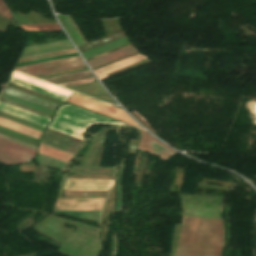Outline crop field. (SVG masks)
<instances>
[{
  "label": "crop field",
  "mask_w": 256,
  "mask_h": 256,
  "mask_svg": "<svg viewBox=\"0 0 256 256\" xmlns=\"http://www.w3.org/2000/svg\"><path fill=\"white\" fill-rule=\"evenodd\" d=\"M221 220L184 217L175 256H220Z\"/></svg>",
  "instance_id": "obj_1"
},
{
  "label": "crop field",
  "mask_w": 256,
  "mask_h": 256,
  "mask_svg": "<svg viewBox=\"0 0 256 256\" xmlns=\"http://www.w3.org/2000/svg\"><path fill=\"white\" fill-rule=\"evenodd\" d=\"M95 123L124 124L75 106L65 105L60 107L50 128L83 140L81 133Z\"/></svg>",
  "instance_id": "obj_2"
},
{
  "label": "crop field",
  "mask_w": 256,
  "mask_h": 256,
  "mask_svg": "<svg viewBox=\"0 0 256 256\" xmlns=\"http://www.w3.org/2000/svg\"><path fill=\"white\" fill-rule=\"evenodd\" d=\"M68 102L80 105L82 107L88 108L90 110L96 111L98 113L131 123L135 126H138L133 120H131L123 111L118 110L110 105L105 103L93 100L91 98L82 96L80 94L75 93ZM139 127V126H138Z\"/></svg>",
  "instance_id": "obj_3"
},
{
  "label": "crop field",
  "mask_w": 256,
  "mask_h": 256,
  "mask_svg": "<svg viewBox=\"0 0 256 256\" xmlns=\"http://www.w3.org/2000/svg\"><path fill=\"white\" fill-rule=\"evenodd\" d=\"M35 150L0 138V162L5 164L27 162L33 159Z\"/></svg>",
  "instance_id": "obj_4"
},
{
  "label": "crop field",
  "mask_w": 256,
  "mask_h": 256,
  "mask_svg": "<svg viewBox=\"0 0 256 256\" xmlns=\"http://www.w3.org/2000/svg\"><path fill=\"white\" fill-rule=\"evenodd\" d=\"M84 65L85 63L82 61L80 56H77V57L39 63V64H34L29 66L18 67V68H15V70L25 72L31 75H35V74H41V73L68 69V68L84 66Z\"/></svg>",
  "instance_id": "obj_5"
},
{
  "label": "crop field",
  "mask_w": 256,
  "mask_h": 256,
  "mask_svg": "<svg viewBox=\"0 0 256 256\" xmlns=\"http://www.w3.org/2000/svg\"><path fill=\"white\" fill-rule=\"evenodd\" d=\"M105 199L58 198L54 210L101 211Z\"/></svg>",
  "instance_id": "obj_6"
},
{
  "label": "crop field",
  "mask_w": 256,
  "mask_h": 256,
  "mask_svg": "<svg viewBox=\"0 0 256 256\" xmlns=\"http://www.w3.org/2000/svg\"><path fill=\"white\" fill-rule=\"evenodd\" d=\"M138 149L158 155L164 160H167L175 153H177L168 146H166L165 144L158 141L152 135L144 131H142V140L139 144Z\"/></svg>",
  "instance_id": "obj_7"
},
{
  "label": "crop field",
  "mask_w": 256,
  "mask_h": 256,
  "mask_svg": "<svg viewBox=\"0 0 256 256\" xmlns=\"http://www.w3.org/2000/svg\"><path fill=\"white\" fill-rule=\"evenodd\" d=\"M114 179H68L64 190H110Z\"/></svg>",
  "instance_id": "obj_8"
},
{
  "label": "crop field",
  "mask_w": 256,
  "mask_h": 256,
  "mask_svg": "<svg viewBox=\"0 0 256 256\" xmlns=\"http://www.w3.org/2000/svg\"><path fill=\"white\" fill-rule=\"evenodd\" d=\"M0 110L7 112L9 114L33 121L35 123L41 124L46 126L48 124V122L50 121V119L44 118L42 116L24 111L22 109L7 105L5 103L0 102Z\"/></svg>",
  "instance_id": "obj_9"
},
{
  "label": "crop field",
  "mask_w": 256,
  "mask_h": 256,
  "mask_svg": "<svg viewBox=\"0 0 256 256\" xmlns=\"http://www.w3.org/2000/svg\"><path fill=\"white\" fill-rule=\"evenodd\" d=\"M12 77H15L17 79L26 81L28 83H31V84H34V85H37V86H40L42 88L51 90L53 92L62 94V95L67 96V97H69L73 93L72 91L66 90L64 88L46 83L44 81L29 77V76H26V75L18 73V72H13Z\"/></svg>",
  "instance_id": "obj_10"
},
{
  "label": "crop field",
  "mask_w": 256,
  "mask_h": 256,
  "mask_svg": "<svg viewBox=\"0 0 256 256\" xmlns=\"http://www.w3.org/2000/svg\"><path fill=\"white\" fill-rule=\"evenodd\" d=\"M145 59H147V58L144 57L143 55L139 54V55H136L134 57L125 59L123 61L111 64V65L103 67V68H100L98 70H95L94 72L97 74L98 77H100L102 75L108 74L110 72L116 71L118 69L124 68L126 66H129L131 64L137 63V62L145 60Z\"/></svg>",
  "instance_id": "obj_11"
},
{
  "label": "crop field",
  "mask_w": 256,
  "mask_h": 256,
  "mask_svg": "<svg viewBox=\"0 0 256 256\" xmlns=\"http://www.w3.org/2000/svg\"><path fill=\"white\" fill-rule=\"evenodd\" d=\"M0 126L11 129L13 131L37 138L40 136L41 132H38L36 130L27 128L25 126L16 124L14 122L8 121L6 119L0 118Z\"/></svg>",
  "instance_id": "obj_12"
},
{
  "label": "crop field",
  "mask_w": 256,
  "mask_h": 256,
  "mask_svg": "<svg viewBox=\"0 0 256 256\" xmlns=\"http://www.w3.org/2000/svg\"><path fill=\"white\" fill-rule=\"evenodd\" d=\"M39 152L43 153V154H46L48 156L60 159V160L65 161V162H67L72 157L71 154H68L66 152L57 150V149L49 147V146H46V145L41 144V143H40Z\"/></svg>",
  "instance_id": "obj_13"
},
{
  "label": "crop field",
  "mask_w": 256,
  "mask_h": 256,
  "mask_svg": "<svg viewBox=\"0 0 256 256\" xmlns=\"http://www.w3.org/2000/svg\"><path fill=\"white\" fill-rule=\"evenodd\" d=\"M134 50H136V48H135L134 45H132V46H129V47H127V48L121 49V50H119V51H116V52L110 53V54H108V55L102 56V57H100V58L94 59V60H92V61H89L88 63H89V65H90V67H92V66H94V65L100 64V63H102V62H105V61H107V60L113 59V58H115V57L121 56V55H123V54H126V53L131 52V51H134ZM136 51H137V50H136Z\"/></svg>",
  "instance_id": "obj_14"
},
{
  "label": "crop field",
  "mask_w": 256,
  "mask_h": 256,
  "mask_svg": "<svg viewBox=\"0 0 256 256\" xmlns=\"http://www.w3.org/2000/svg\"><path fill=\"white\" fill-rule=\"evenodd\" d=\"M10 82H13V83H16L18 85H21V86H24V87H27V88H30L32 90H35V91H38V92H41V93H44L46 95H49V96H52V97H55V98H58L60 100H63L65 101L67 99V97H64L62 95H59V94H56V93H53L51 91H48V90H45V89H42V88H39L37 86H34V85H31V84H28L26 82H23V81H20V80H17L15 78H10L9 80Z\"/></svg>",
  "instance_id": "obj_15"
},
{
  "label": "crop field",
  "mask_w": 256,
  "mask_h": 256,
  "mask_svg": "<svg viewBox=\"0 0 256 256\" xmlns=\"http://www.w3.org/2000/svg\"><path fill=\"white\" fill-rule=\"evenodd\" d=\"M24 30L56 31L61 30L58 25H21Z\"/></svg>",
  "instance_id": "obj_16"
},
{
  "label": "crop field",
  "mask_w": 256,
  "mask_h": 256,
  "mask_svg": "<svg viewBox=\"0 0 256 256\" xmlns=\"http://www.w3.org/2000/svg\"><path fill=\"white\" fill-rule=\"evenodd\" d=\"M75 52H76L75 49H72V50H66V51L44 54V55H39V56H33V57H28V58H22V59L19 60L18 63L31 61V60L42 59V58H48V57H53V56H58V55H64V54H69V53H75Z\"/></svg>",
  "instance_id": "obj_17"
},
{
  "label": "crop field",
  "mask_w": 256,
  "mask_h": 256,
  "mask_svg": "<svg viewBox=\"0 0 256 256\" xmlns=\"http://www.w3.org/2000/svg\"><path fill=\"white\" fill-rule=\"evenodd\" d=\"M108 191H64V195L106 196Z\"/></svg>",
  "instance_id": "obj_18"
},
{
  "label": "crop field",
  "mask_w": 256,
  "mask_h": 256,
  "mask_svg": "<svg viewBox=\"0 0 256 256\" xmlns=\"http://www.w3.org/2000/svg\"><path fill=\"white\" fill-rule=\"evenodd\" d=\"M182 206L220 209V205L182 203Z\"/></svg>",
  "instance_id": "obj_19"
},
{
  "label": "crop field",
  "mask_w": 256,
  "mask_h": 256,
  "mask_svg": "<svg viewBox=\"0 0 256 256\" xmlns=\"http://www.w3.org/2000/svg\"><path fill=\"white\" fill-rule=\"evenodd\" d=\"M0 14L3 15L4 17H6L7 19L13 17L8 9L4 6L3 2L0 0Z\"/></svg>",
  "instance_id": "obj_20"
},
{
  "label": "crop field",
  "mask_w": 256,
  "mask_h": 256,
  "mask_svg": "<svg viewBox=\"0 0 256 256\" xmlns=\"http://www.w3.org/2000/svg\"><path fill=\"white\" fill-rule=\"evenodd\" d=\"M94 79L95 78L81 80V81H75V82H70V83H65V84H59V85L62 86V87H66V86H71V85H76V84H81V83H86V82L94 81Z\"/></svg>",
  "instance_id": "obj_21"
}]
</instances>
